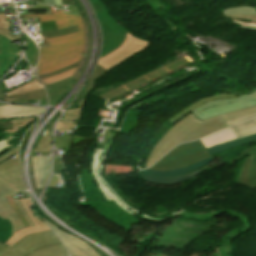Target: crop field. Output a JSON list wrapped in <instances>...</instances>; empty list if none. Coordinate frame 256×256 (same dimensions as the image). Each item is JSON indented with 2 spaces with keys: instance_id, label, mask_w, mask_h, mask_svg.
Wrapping results in <instances>:
<instances>
[{
  "instance_id": "1",
  "label": "crop field",
  "mask_w": 256,
  "mask_h": 256,
  "mask_svg": "<svg viewBox=\"0 0 256 256\" xmlns=\"http://www.w3.org/2000/svg\"><path fill=\"white\" fill-rule=\"evenodd\" d=\"M79 29L78 33L46 39L50 47L40 49L38 75L62 69L81 59L84 43L83 25H80Z\"/></svg>"
},
{
  "instance_id": "2",
  "label": "crop field",
  "mask_w": 256,
  "mask_h": 256,
  "mask_svg": "<svg viewBox=\"0 0 256 256\" xmlns=\"http://www.w3.org/2000/svg\"><path fill=\"white\" fill-rule=\"evenodd\" d=\"M254 112H256V106L249 109L246 108L238 110L222 116L225 118L226 121H228ZM201 123L203 122L199 120L196 116H194L191 112L185 118H183L181 121L175 124L153 148L146 162V168H148L151 164H153L155 161L161 158L170 149L175 147L189 132H191L196 126H198Z\"/></svg>"
},
{
  "instance_id": "3",
  "label": "crop field",
  "mask_w": 256,
  "mask_h": 256,
  "mask_svg": "<svg viewBox=\"0 0 256 256\" xmlns=\"http://www.w3.org/2000/svg\"><path fill=\"white\" fill-rule=\"evenodd\" d=\"M148 46H149L148 42H145L141 39L134 37L132 34H130L127 31L124 43L116 51L99 59V62L97 64L95 70L92 72L89 79L85 83V84L90 83L89 86L87 87L85 93H83L80 96L79 100H77V102L75 104H73L69 109L79 107L78 103L87 94V92L93 87L94 82L98 78H100L104 73H106L108 70L114 68L115 66L121 64L122 62L128 60L135 54L145 50Z\"/></svg>"
},
{
  "instance_id": "4",
  "label": "crop field",
  "mask_w": 256,
  "mask_h": 256,
  "mask_svg": "<svg viewBox=\"0 0 256 256\" xmlns=\"http://www.w3.org/2000/svg\"><path fill=\"white\" fill-rule=\"evenodd\" d=\"M210 157L204 145L199 141L181 144L165 155L150 169L174 170L190 166L202 159Z\"/></svg>"
},
{
  "instance_id": "5",
  "label": "crop field",
  "mask_w": 256,
  "mask_h": 256,
  "mask_svg": "<svg viewBox=\"0 0 256 256\" xmlns=\"http://www.w3.org/2000/svg\"><path fill=\"white\" fill-rule=\"evenodd\" d=\"M94 9L103 33V46L100 58L117 49L124 41L126 29L118 25L109 15L107 7L101 0H89Z\"/></svg>"
},
{
  "instance_id": "6",
  "label": "crop field",
  "mask_w": 256,
  "mask_h": 256,
  "mask_svg": "<svg viewBox=\"0 0 256 256\" xmlns=\"http://www.w3.org/2000/svg\"><path fill=\"white\" fill-rule=\"evenodd\" d=\"M238 96L239 99H223L204 104L193 110V114L204 121L211 117L256 105V91L252 94Z\"/></svg>"
},
{
  "instance_id": "7",
  "label": "crop field",
  "mask_w": 256,
  "mask_h": 256,
  "mask_svg": "<svg viewBox=\"0 0 256 256\" xmlns=\"http://www.w3.org/2000/svg\"><path fill=\"white\" fill-rule=\"evenodd\" d=\"M256 141V135H252L249 137H245V138H241V139H237L234 141H230L227 142L225 144L219 145V146H214L212 148L207 149V151L209 152L210 156L217 154L219 152L237 147V146H241V145H245V144H249L252 142ZM213 157L211 156L210 158L200 161L198 163H196L193 166L187 167V168H183V169H179V170H174V171H152V170H146V171H140L141 173H144L146 175H150V176H155V177H161V178H168V177H174V176H178V175H182L185 174L189 171H193L195 169H198L202 166H204L205 164H207L208 162L212 161Z\"/></svg>"
},
{
  "instance_id": "8",
  "label": "crop field",
  "mask_w": 256,
  "mask_h": 256,
  "mask_svg": "<svg viewBox=\"0 0 256 256\" xmlns=\"http://www.w3.org/2000/svg\"><path fill=\"white\" fill-rule=\"evenodd\" d=\"M50 232L25 236L22 240L12 246V248L3 256H25L42 247L59 244L60 241L58 238L54 233L50 234Z\"/></svg>"
},
{
  "instance_id": "9",
  "label": "crop field",
  "mask_w": 256,
  "mask_h": 256,
  "mask_svg": "<svg viewBox=\"0 0 256 256\" xmlns=\"http://www.w3.org/2000/svg\"><path fill=\"white\" fill-rule=\"evenodd\" d=\"M45 222L54 231L57 237L65 244L70 256H100L85 241L59 230L57 227L47 221Z\"/></svg>"
},
{
  "instance_id": "10",
  "label": "crop field",
  "mask_w": 256,
  "mask_h": 256,
  "mask_svg": "<svg viewBox=\"0 0 256 256\" xmlns=\"http://www.w3.org/2000/svg\"><path fill=\"white\" fill-rule=\"evenodd\" d=\"M0 176L18 192L26 190L22 180L21 162L18 154L14 160L7 159L0 163Z\"/></svg>"
},
{
  "instance_id": "11",
  "label": "crop field",
  "mask_w": 256,
  "mask_h": 256,
  "mask_svg": "<svg viewBox=\"0 0 256 256\" xmlns=\"http://www.w3.org/2000/svg\"><path fill=\"white\" fill-rule=\"evenodd\" d=\"M38 86H42V85L37 84V82L35 81H30L12 92L26 90V89H30ZM3 93H5L4 86L2 85V83H0V98L3 100L9 101V102H17V103H33L35 102L34 100L42 99L43 103L47 104V97L44 89L28 92L24 94H19V95H13V96L3 95Z\"/></svg>"
},
{
  "instance_id": "12",
  "label": "crop field",
  "mask_w": 256,
  "mask_h": 256,
  "mask_svg": "<svg viewBox=\"0 0 256 256\" xmlns=\"http://www.w3.org/2000/svg\"><path fill=\"white\" fill-rule=\"evenodd\" d=\"M19 50L21 49H18L11 41L0 36V78L16 62L18 56L14 54Z\"/></svg>"
},
{
  "instance_id": "13",
  "label": "crop field",
  "mask_w": 256,
  "mask_h": 256,
  "mask_svg": "<svg viewBox=\"0 0 256 256\" xmlns=\"http://www.w3.org/2000/svg\"><path fill=\"white\" fill-rule=\"evenodd\" d=\"M227 127H229V126L226 123V121L223 119V117L211 120L209 122H206V123L196 127L180 143L207 136L211 133L217 132V131L222 130Z\"/></svg>"
},
{
  "instance_id": "14",
  "label": "crop field",
  "mask_w": 256,
  "mask_h": 256,
  "mask_svg": "<svg viewBox=\"0 0 256 256\" xmlns=\"http://www.w3.org/2000/svg\"><path fill=\"white\" fill-rule=\"evenodd\" d=\"M22 17H40V22L56 21L59 29L82 24L81 16L67 14L61 10L56 11L52 15H36V16H22Z\"/></svg>"
},
{
  "instance_id": "15",
  "label": "crop field",
  "mask_w": 256,
  "mask_h": 256,
  "mask_svg": "<svg viewBox=\"0 0 256 256\" xmlns=\"http://www.w3.org/2000/svg\"><path fill=\"white\" fill-rule=\"evenodd\" d=\"M44 112L45 109L43 107H33L26 105L0 106V118L38 115Z\"/></svg>"
},
{
  "instance_id": "16",
  "label": "crop field",
  "mask_w": 256,
  "mask_h": 256,
  "mask_svg": "<svg viewBox=\"0 0 256 256\" xmlns=\"http://www.w3.org/2000/svg\"><path fill=\"white\" fill-rule=\"evenodd\" d=\"M37 188L43 187L50 172V157H32Z\"/></svg>"
},
{
  "instance_id": "17",
  "label": "crop field",
  "mask_w": 256,
  "mask_h": 256,
  "mask_svg": "<svg viewBox=\"0 0 256 256\" xmlns=\"http://www.w3.org/2000/svg\"><path fill=\"white\" fill-rule=\"evenodd\" d=\"M73 77L66 78L57 83L45 86L49 105L55 106L56 102L68 92V90L71 88Z\"/></svg>"
},
{
  "instance_id": "18",
  "label": "crop field",
  "mask_w": 256,
  "mask_h": 256,
  "mask_svg": "<svg viewBox=\"0 0 256 256\" xmlns=\"http://www.w3.org/2000/svg\"><path fill=\"white\" fill-rule=\"evenodd\" d=\"M0 217L10 220L12 225L11 235L17 230L24 228V225L20 221L6 197L0 199Z\"/></svg>"
},
{
  "instance_id": "19",
  "label": "crop field",
  "mask_w": 256,
  "mask_h": 256,
  "mask_svg": "<svg viewBox=\"0 0 256 256\" xmlns=\"http://www.w3.org/2000/svg\"><path fill=\"white\" fill-rule=\"evenodd\" d=\"M208 167H210V166L207 164L206 166H204L194 172H189L185 175L174 177V178H169V179L149 177V176H145V175L141 174L139 171L138 172H139V176H141L143 179H145L151 183L160 184V185H174V184L180 183L181 181H183L185 179H189V178L199 174L200 172L207 169Z\"/></svg>"
},
{
  "instance_id": "20",
  "label": "crop field",
  "mask_w": 256,
  "mask_h": 256,
  "mask_svg": "<svg viewBox=\"0 0 256 256\" xmlns=\"http://www.w3.org/2000/svg\"><path fill=\"white\" fill-rule=\"evenodd\" d=\"M222 98H238V97H237V94H219V95H215V96H211V97L201 99V100L191 104L189 107H187L185 110L178 113L173 118L169 119L168 122H170L174 125L179 120H181L183 117H185L194 108H196V107H198V106H200L204 103L211 102V101L216 100V99H222Z\"/></svg>"
},
{
  "instance_id": "21",
  "label": "crop field",
  "mask_w": 256,
  "mask_h": 256,
  "mask_svg": "<svg viewBox=\"0 0 256 256\" xmlns=\"http://www.w3.org/2000/svg\"><path fill=\"white\" fill-rule=\"evenodd\" d=\"M21 204L23 205V207L25 208L26 212L28 213V215L30 216V218L32 219L33 223L35 224L36 227L33 228H25L22 230L17 231L16 233L13 234V236L5 243L6 246L14 239L16 238L18 235H20L23 232L26 231H30V230H35V229H40V228H46L47 225L44 224L41 220L37 219L36 216L33 213V206L30 202L29 199H23L20 200Z\"/></svg>"
},
{
  "instance_id": "22",
  "label": "crop field",
  "mask_w": 256,
  "mask_h": 256,
  "mask_svg": "<svg viewBox=\"0 0 256 256\" xmlns=\"http://www.w3.org/2000/svg\"><path fill=\"white\" fill-rule=\"evenodd\" d=\"M237 139L232 133L230 128L223 131L214 133L206 138L201 139V142L205 145L206 149L216 144H222L230 140Z\"/></svg>"
},
{
  "instance_id": "23",
  "label": "crop field",
  "mask_w": 256,
  "mask_h": 256,
  "mask_svg": "<svg viewBox=\"0 0 256 256\" xmlns=\"http://www.w3.org/2000/svg\"><path fill=\"white\" fill-rule=\"evenodd\" d=\"M255 154L250 166H249V183L252 188H256V173H255V167H256V147H250L243 150L236 158H234L228 165L233 166L236 161L242 159L245 156Z\"/></svg>"
},
{
  "instance_id": "24",
  "label": "crop field",
  "mask_w": 256,
  "mask_h": 256,
  "mask_svg": "<svg viewBox=\"0 0 256 256\" xmlns=\"http://www.w3.org/2000/svg\"><path fill=\"white\" fill-rule=\"evenodd\" d=\"M249 123V124H247ZM237 138L256 134V118L230 127Z\"/></svg>"
},
{
  "instance_id": "25",
  "label": "crop field",
  "mask_w": 256,
  "mask_h": 256,
  "mask_svg": "<svg viewBox=\"0 0 256 256\" xmlns=\"http://www.w3.org/2000/svg\"><path fill=\"white\" fill-rule=\"evenodd\" d=\"M27 256H68V254L64 246L62 244H59L42 248L28 254Z\"/></svg>"
},
{
  "instance_id": "26",
  "label": "crop field",
  "mask_w": 256,
  "mask_h": 256,
  "mask_svg": "<svg viewBox=\"0 0 256 256\" xmlns=\"http://www.w3.org/2000/svg\"><path fill=\"white\" fill-rule=\"evenodd\" d=\"M18 148H15L11 151H9L7 154H5L4 156L0 157V162L3 161L4 159L16 154L18 152ZM17 191H15L5 180H3L0 177V197L1 196H5L8 194H12V193H16Z\"/></svg>"
},
{
  "instance_id": "27",
  "label": "crop field",
  "mask_w": 256,
  "mask_h": 256,
  "mask_svg": "<svg viewBox=\"0 0 256 256\" xmlns=\"http://www.w3.org/2000/svg\"><path fill=\"white\" fill-rule=\"evenodd\" d=\"M25 40L27 44L25 55L30 65H32L37 62L38 52L34 46L35 44L33 45L32 41L28 37H25Z\"/></svg>"
},
{
  "instance_id": "28",
  "label": "crop field",
  "mask_w": 256,
  "mask_h": 256,
  "mask_svg": "<svg viewBox=\"0 0 256 256\" xmlns=\"http://www.w3.org/2000/svg\"><path fill=\"white\" fill-rule=\"evenodd\" d=\"M35 118H20L12 121L13 129L2 131L4 135L16 133L19 128L27 127Z\"/></svg>"
},
{
  "instance_id": "29",
  "label": "crop field",
  "mask_w": 256,
  "mask_h": 256,
  "mask_svg": "<svg viewBox=\"0 0 256 256\" xmlns=\"http://www.w3.org/2000/svg\"><path fill=\"white\" fill-rule=\"evenodd\" d=\"M252 157L253 156H249V157L245 158L243 165H242L241 172L239 174V178H238L239 183H241L245 186H248V187H250L248 180H247L248 166L250 164Z\"/></svg>"
},
{
  "instance_id": "30",
  "label": "crop field",
  "mask_w": 256,
  "mask_h": 256,
  "mask_svg": "<svg viewBox=\"0 0 256 256\" xmlns=\"http://www.w3.org/2000/svg\"><path fill=\"white\" fill-rule=\"evenodd\" d=\"M78 27H72V28H67L63 30H56V31H50V32H41V34L44 36V38H51V37H57V36H62L74 32H78Z\"/></svg>"
},
{
  "instance_id": "31",
  "label": "crop field",
  "mask_w": 256,
  "mask_h": 256,
  "mask_svg": "<svg viewBox=\"0 0 256 256\" xmlns=\"http://www.w3.org/2000/svg\"><path fill=\"white\" fill-rule=\"evenodd\" d=\"M77 67L73 68V69H70L66 72H63L61 74H58V75H55L51 78H47V79H42L41 81L43 82L44 85L46 84H50V83H54V82H57L63 78H66V77H69V76H73L75 71H76Z\"/></svg>"
},
{
  "instance_id": "32",
  "label": "crop field",
  "mask_w": 256,
  "mask_h": 256,
  "mask_svg": "<svg viewBox=\"0 0 256 256\" xmlns=\"http://www.w3.org/2000/svg\"><path fill=\"white\" fill-rule=\"evenodd\" d=\"M51 136L42 137L34 152H50Z\"/></svg>"
},
{
  "instance_id": "33",
  "label": "crop field",
  "mask_w": 256,
  "mask_h": 256,
  "mask_svg": "<svg viewBox=\"0 0 256 256\" xmlns=\"http://www.w3.org/2000/svg\"><path fill=\"white\" fill-rule=\"evenodd\" d=\"M72 139L73 135H65L64 139L55 138V147L69 151Z\"/></svg>"
},
{
  "instance_id": "34",
  "label": "crop field",
  "mask_w": 256,
  "mask_h": 256,
  "mask_svg": "<svg viewBox=\"0 0 256 256\" xmlns=\"http://www.w3.org/2000/svg\"><path fill=\"white\" fill-rule=\"evenodd\" d=\"M85 98H86V96L79 103L80 108L66 111L65 116L63 117L62 120H78L80 118L81 107L83 105V102H84Z\"/></svg>"
},
{
  "instance_id": "35",
  "label": "crop field",
  "mask_w": 256,
  "mask_h": 256,
  "mask_svg": "<svg viewBox=\"0 0 256 256\" xmlns=\"http://www.w3.org/2000/svg\"><path fill=\"white\" fill-rule=\"evenodd\" d=\"M78 121H59L56 124L58 130L75 131Z\"/></svg>"
},
{
  "instance_id": "36",
  "label": "crop field",
  "mask_w": 256,
  "mask_h": 256,
  "mask_svg": "<svg viewBox=\"0 0 256 256\" xmlns=\"http://www.w3.org/2000/svg\"><path fill=\"white\" fill-rule=\"evenodd\" d=\"M240 13H256V9L253 7H237L228 10H224L223 14H240Z\"/></svg>"
},
{
  "instance_id": "37",
  "label": "crop field",
  "mask_w": 256,
  "mask_h": 256,
  "mask_svg": "<svg viewBox=\"0 0 256 256\" xmlns=\"http://www.w3.org/2000/svg\"><path fill=\"white\" fill-rule=\"evenodd\" d=\"M11 198L13 199L12 195H10ZM14 201V199H13ZM15 204L17 205V207L19 208V210L21 211L22 215L24 216V218L26 219V221L28 222V224L30 225V227H33L34 224L32 223V221L30 220L29 216L27 215V213L25 212L24 208L22 207V205L20 204L19 200L14 201Z\"/></svg>"
},
{
  "instance_id": "38",
  "label": "crop field",
  "mask_w": 256,
  "mask_h": 256,
  "mask_svg": "<svg viewBox=\"0 0 256 256\" xmlns=\"http://www.w3.org/2000/svg\"><path fill=\"white\" fill-rule=\"evenodd\" d=\"M0 35L7 37L12 42L22 40L21 35L11 36L10 31L0 30Z\"/></svg>"
},
{
  "instance_id": "39",
  "label": "crop field",
  "mask_w": 256,
  "mask_h": 256,
  "mask_svg": "<svg viewBox=\"0 0 256 256\" xmlns=\"http://www.w3.org/2000/svg\"><path fill=\"white\" fill-rule=\"evenodd\" d=\"M114 136H115L114 133H112L111 131H108L107 136H106L107 140L105 142L104 149H108V150L111 149V147L113 145Z\"/></svg>"
},
{
  "instance_id": "40",
  "label": "crop field",
  "mask_w": 256,
  "mask_h": 256,
  "mask_svg": "<svg viewBox=\"0 0 256 256\" xmlns=\"http://www.w3.org/2000/svg\"><path fill=\"white\" fill-rule=\"evenodd\" d=\"M49 230H50L49 228H46V229L35 230V231H31V232L24 233V234L20 235L19 237H17L15 240H13V241L8 245V247H11L13 244H15L17 241H19L20 239H22V238H23L25 235H27V234H34V233L45 232V231H49Z\"/></svg>"
},
{
  "instance_id": "41",
  "label": "crop field",
  "mask_w": 256,
  "mask_h": 256,
  "mask_svg": "<svg viewBox=\"0 0 256 256\" xmlns=\"http://www.w3.org/2000/svg\"><path fill=\"white\" fill-rule=\"evenodd\" d=\"M254 116H256V113L248 115V116H245V117H241V118H238V119H235V120L228 121V124H229V126H232V125H235L237 123L243 122V121H245V120H247L249 118H252Z\"/></svg>"
},
{
  "instance_id": "42",
  "label": "crop field",
  "mask_w": 256,
  "mask_h": 256,
  "mask_svg": "<svg viewBox=\"0 0 256 256\" xmlns=\"http://www.w3.org/2000/svg\"><path fill=\"white\" fill-rule=\"evenodd\" d=\"M7 199L9 200V202L11 203L12 207L14 208V210L16 211V213L18 214V216L20 217L21 221L23 222V224L25 225V227H29V225L27 224V222L25 221V219L23 218V216L21 215V213L19 212L18 208L16 207V205L14 204V202L12 201V199L10 198V196H7Z\"/></svg>"
},
{
  "instance_id": "43",
  "label": "crop field",
  "mask_w": 256,
  "mask_h": 256,
  "mask_svg": "<svg viewBox=\"0 0 256 256\" xmlns=\"http://www.w3.org/2000/svg\"><path fill=\"white\" fill-rule=\"evenodd\" d=\"M13 135H14V134H12V135H7V136L4 137L3 140L0 141V151H1L3 148L10 147V145H8L7 143H8L11 139L14 138Z\"/></svg>"
},
{
  "instance_id": "44",
  "label": "crop field",
  "mask_w": 256,
  "mask_h": 256,
  "mask_svg": "<svg viewBox=\"0 0 256 256\" xmlns=\"http://www.w3.org/2000/svg\"><path fill=\"white\" fill-rule=\"evenodd\" d=\"M77 65H78V62H77V63H75V64H73V65H70V66H68V67H66V68H64V69H62V70L55 71V72H52V73L47 74V75H41V76H39V79L46 78V77H50V76H52V75H55V74L61 73V72H63V71H66V70H68V69H70V68L74 67V66H77Z\"/></svg>"
},
{
  "instance_id": "45",
  "label": "crop field",
  "mask_w": 256,
  "mask_h": 256,
  "mask_svg": "<svg viewBox=\"0 0 256 256\" xmlns=\"http://www.w3.org/2000/svg\"><path fill=\"white\" fill-rule=\"evenodd\" d=\"M9 22H6L4 15L0 14V29H7L10 26Z\"/></svg>"
},
{
  "instance_id": "46",
  "label": "crop field",
  "mask_w": 256,
  "mask_h": 256,
  "mask_svg": "<svg viewBox=\"0 0 256 256\" xmlns=\"http://www.w3.org/2000/svg\"><path fill=\"white\" fill-rule=\"evenodd\" d=\"M62 165L59 160H54V173L62 171Z\"/></svg>"
},
{
  "instance_id": "47",
  "label": "crop field",
  "mask_w": 256,
  "mask_h": 256,
  "mask_svg": "<svg viewBox=\"0 0 256 256\" xmlns=\"http://www.w3.org/2000/svg\"><path fill=\"white\" fill-rule=\"evenodd\" d=\"M56 176V175H55ZM53 175L52 181L48 187L55 188L58 182V178Z\"/></svg>"
},
{
  "instance_id": "48",
  "label": "crop field",
  "mask_w": 256,
  "mask_h": 256,
  "mask_svg": "<svg viewBox=\"0 0 256 256\" xmlns=\"http://www.w3.org/2000/svg\"><path fill=\"white\" fill-rule=\"evenodd\" d=\"M156 6H158L159 8H168L165 4L159 2L158 0H151Z\"/></svg>"
},
{
  "instance_id": "49",
  "label": "crop field",
  "mask_w": 256,
  "mask_h": 256,
  "mask_svg": "<svg viewBox=\"0 0 256 256\" xmlns=\"http://www.w3.org/2000/svg\"><path fill=\"white\" fill-rule=\"evenodd\" d=\"M10 248L4 246L0 243V256H2L6 251H8Z\"/></svg>"
},
{
  "instance_id": "50",
  "label": "crop field",
  "mask_w": 256,
  "mask_h": 256,
  "mask_svg": "<svg viewBox=\"0 0 256 256\" xmlns=\"http://www.w3.org/2000/svg\"><path fill=\"white\" fill-rule=\"evenodd\" d=\"M234 18L251 19V23H255L256 24V16H253V17H232V19H234Z\"/></svg>"
},
{
  "instance_id": "51",
  "label": "crop field",
  "mask_w": 256,
  "mask_h": 256,
  "mask_svg": "<svg viewBox=\"0 0 256 256\" xmlns=\"http://www.w3.org/2000/svg\"><path fill=\"white\" fill-rule=\"evenodd\" d=\"M0 121L2 122V124L5 123V120H0ZM10 128H12V126H11V121H9L8 126H4V127H1V126H0V130H3V129H10Z\"/></svg>"
},
{
  "instance_id": "52",
  "label": "crop field",
  "mask_w": 256,
  "mask_h": 256,
  "mask_svg": "<svg viewBox=\"0 0 256 256\" xmlns=\"http://www.w3.org/2000/svg\"><path fill=\"white\" fill-rule=\"evenodd\" d=\"M41 88H43V87H39V88L31 89V90H26V91H21V92H17V93H11V94H8V95L24 93V92H28V91H33V90L41 89Z\"/></svg>"
},
{
  "instance_id": "53",
  "label": "crop field",
  "mask_w": 256,
  "mask_h": 256,
  "mask_svg": "<svg viewBox=\"0 0 256 256\" xmlns=\"http://www.w3.org/2000/svg\"><path fill=\"white\" fill-rule=\"evenodd\" d=\"M256 14H240V15H225V16H253Z\"/></svg>"
},
{
  "instance_id": "54",
  "label": "crop field",
  "mask_w": 256,
  "mask_h": 256,
  "mask_svg": "<svg viewBox=\"0 0 256 256\" xmlns=\"http://www.w3.org/2000/svg\"><path fill=\"white\" fill-rule=\"evenodd\" d=\"M232 21H235V20H232ZM235 22H237V21H235ZM238 23H241V24H245V25H250V26H256V25H254V24H251V23H243V22H238Z\"/></svg>"
},
{
  "instance_id": "55",
  "label": "crop field",
  "mask_w": 256,
  "mask_h": 256,
  "mask_svg": "<svg viewBox=\"0 0 256 256\" xmlns=\"http://www.w3.org/2000/svg\"><path fill=\"white\" fill-rule=\"evenodd\" d=\"M55 4L56 5H62V2H61V0H55Z\"/></svg>"
},
{
  "instance_id": "56",
  "label": "crop field",
  "mask_w": 256,
  "mask_h": 256,
  "mask_svg": "<svg viewBox=\"0 0 256 256\" xmlns=\"http://www.w3.org/2000/svg\"><path fill=\"white\" fill-rule=\"evenodd\" d=\"M240 26L241 27H246V28H251V29H256V27H250V26H245V25H241V24H240Z\"/></svg>"
}]
</instances>
